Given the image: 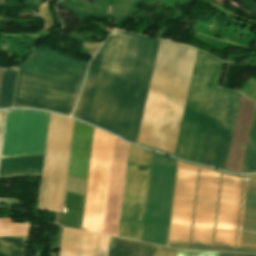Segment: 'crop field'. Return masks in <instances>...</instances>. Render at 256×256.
I'll return each mask as SVG.
<instances>
[{
  "mask_svg": "<svg viewBox=\"0 0 256 256\" xmlns=\"http://www.w3.org/2000/svg\"><path fill=\"white\" fill-rule=\"evenodd\" d=\"M153 152L130 144L118 236L141 241Z\"/></svg>",
  "mask_w": 256,
  "mask_h": 256,
  "instance_id": "6",
  "label": "crop field"
},
{
  "mask_svg": "<svg viewBox=\"0 0 256 256\" xmlns=\"http://www.w3.org/2000/svg\"><path fill=\"white\" fill-rule=\"evenodd\" d=\"M26 236L0 237V256H22Z\"/></svg>",
  "mask_w": 256,
  "mask_h": 256,
  "instance_id": "16",
  "label": "crop field"
},
{
  "mask_svg": "<svg viewBox=\"0 0 256 256\" xmlns=\"http://www.w3.org/2000/svg\"><path fill=\"white\" fill-rule=\"evenodd\" d=\"M16 74V70L3 69L0 89V108L11 107Z\"/></svg>",
  "mask_w": 256,
  "mask_h": 256,
  "instance_id": "15",
  "label": "crop field"
},
{
  "mask_svg": "<svg viewBox=\"0 0 256 256\" xmlns=\"http://www.w3.org/2000/svg\"><path fill=\"white\" fill-rule=\"evenodd\" d=\"M102 43L82 42V48L87 49L90 55H94Z\"/></svg>",
  "mask_w": 256,
  "mask_h": 256,
  "instance_id": "22",
  "label": "crop field"
},
{
  "mask_svg": "<svg viewBox=\"0 0 256 256\" xmlns=\"http://www.w3.org/2000/svg\"><path fill=\"white\" fill-rule=\"evenodd\" d=\"M114 137L95 128L82 226L102 233Z\"/></svg>",
  "mask_w": 256,
  "mask_h": 256,
  "instance_id": "7",
  "label": "crop field"
},
{
  "mask_svg": "<svg viewBox=\"0 0 256 256\" xmlns=\"http://www.w3.org/2000/svg\"><path fill=\"white\" fill-rule=\"evenodd\" d=\"M29 225L12 224L10 218H0V236L26 235Z\"/></svg>",
  "mask_w": 256,
  "mask_h": 256,
  "instance_id": "17",
  "label": "crop field"
},
{
  "mask_svg": "<svg viewBox=\"0 0 256 256\" xmlns=\"http://www.w3.org/2000/svg\"><path fill=\"white\" fill-rule=\"evenodd\" d=\"M196 52L160 39L137 144L173 155Z\"/></svg>",
  "mask_w": 256,
  "mask_h": 256,
  "instance_id": "3",
  "label": "crop field"
},
{
  "mask_svg": "<svg viewBox=\"0 0 256 256\" xmlns=\"http://www.w3.org/2000/svg\"><path fill=\"white\" fill-rule=\"evenodd\" d=\"M239 92L256 101V79L252 77Z\"/></svg>",
  "mask_w": 256,
  "mask_h": 256,
  "instance_id": "20",
  "label": "crop field"
},
{
  "mask_svg": "<svg viewBox=\"0 0 256 256\" xmlns=\"http://www.w3.org/2000/svg\"><path fill=\"white\" fill-rule=\"evenodd\" d=\"M180 163H178L177 165L176 160L173 187L176 173V165L177 173L174 187V195L172 187L173 202L171 195L172 209L170 202L171 217L169 210L170 224L168 218L169 231L167 226L168 239L167 234L166 239L167 242L189 244L199 171V168L197 167L213 171L217 170L184 163L197 166L193 167ZM205 169H201V172L199 171L200 180L198 179L199 188L198 195L196 194L197 203L195 202L196 210L191 244L213 245L222 174ZM221 173H223V178L224 174L240 177L225 172ZM228 175H225L224 185L222 178L223 192L221 186L222 199L220 194L221 206L219 202L220 214L218 210L219 221L217 218L218 228L216 226L217 235L215 234V245L237 246L245 184H242L239 178ZM240 178L243 183H246L247 187L248 182H244L242 177ZM249 184L250 188L248 185L247 194L245 187L246 201L244 195L245 208L243 203L244 215L242 211L243 222L241 219V236L239 235V246L241 247L249 188L242 248L226 246L184 245L166 242L165 245L182 249L256 252V184Z\"/></svg>",
  "mask_w": 256,
  "mask_h": 256,
  "instance_id": "1",
  "label": "crop field"
},
{
  "mask_svg": "<svg viewBox=\"0 0 256 256\" xmlns=\"http://www.w3.org/2000/svg\"><path fill=\"white\" fill-rule=\"evenodd\" d=\"M218 252H200V251H180L178 256H217ZM218 256H256V254L248 253H228V252H219Z\"/></svg>",
  "mask_w": 256,
  "mask_h": 256,
  "instance_id": "19",
  "label": "crop field"
},
{
  "mask_svg": "<svg viewBox=\"0 0 256 256\" xmlns=\"http://www.w3.org/2000/svg\"><path fill=\"white\" fill-rule=\"evenodd\" d=\"M87 64L54 50L34 49L20 66L13 107L70 116Z\"/></svg>",
  "mask_w": 256,
  "mask_h": 256,
  "instance_id": "4",
  "label": "crop field"
},
{
  "mask_svg": "<svg viewBox=\"0 0 256 256\" xmlns=\"http://www.w3.org/2000/svg\"><path fill=\"white\" fill-rule=\"evenodd\" d=\"M256 171V110L240 172Z\"/></svg>",
  "mask_w": 256,
  "mask_h": 256,
  "instance_id": "14",
  "label": "crop field"
},
{
  "mask_svg": "<svg viewBox=\"0 0 256 256\" xmlns=\"http://www.w3.org/2000/svg\"><path fill=\"white\" fill-rule=\"evenodd\" d=\"M177 251L176 249L155 245L154 256H177Z\"/></svg>",
  "mask_w": 256,
  "mask_h": 256,
  "instance_id": "21",
  "label": "crop field"
},
{
  "mask_svg": "<svg viewBox=\"0 0 256 256\" xmlns=\"http://www.w3.org/2000/svg\"><path fill=\"white\" fill-rule=\"evenodd\" d=\"M240 97L218 87L201 162L223 169Z\"/></svg>",
  "mask_w": 256,
  "mask_h": 256,
  "instance_id": "10",
  "label": "crop field"
},
{
  "mask_svg": "<svg viewBox=\"0 0 256 256\" xmlns=\"http://www.w3.org/2000/svg\"><path fill=\"white\" fill-rule=\"evenodd\" d=\"M158 41L110 35L88 68L73 116L135 143Z\"/></svg>",
  "mask_w": 256,
  "mask_h": 256,
  "instance_id": "2",
  "label": "crop field"
},
{
  "mask_svg": "<svg viewBox=\"0 0 256 256\" xmlns=\"http://www.w3.org/2000/svg\"><path fill=\"white\" fill-rule=\"evenodd\" d=\"M44 155L1 160L0 178L41 175Z\"/></svg>",
  "mask_w": 256,
  "mask_h": 256,
  "instance_id": "12",
  "label": "crop field"
},
{
  "mask_svg": "<svg viewBox=\"0 0 256 256\" xmlns=\"http://www.w3.org/2000/svg\"><path fill=\"white\" fill-rule=\"evenodd\" d=\"M110 237L63 228L60 256H107Z\"/></svg>",
  "mask_w": 256,
  "mask_h": 256,
  "instance_id": "11",
  "label": "crop field"
},
{
  "mask_svg": "<svg viewBox=\"0 0 256 256\" xmlns=\"http://www.w3.org/2000/svg\"><path fill=\"white\" fill-rule=\"evenodd\" d=\"M48 113L8 110L1 158L44 154Z\"/></svg>",
  "mask_w": 256,
  "mask_h": 256,
  "instance_id": "9",
  "label": "crop field"
},
{
  "mask_svg": "<svg viewBox=\"0 0 256 256\" xmlns=\"http://www.w3.org/2000/svg\"><path fill=\"white\" fill-rule=\"evenodd\" d=\"M154 245L111 237L108 256H153Z\"/></svg>",
  "mask_w": 256,
  "mask_h": 256,
  "instance_id": "13",
  "label": "crop field"
},
{
  "mask_svg": "<svg viewBox=\"0 0 256 256\" xmlns=\"http://www.w3.org/2000/svg\"><path fill=\"white\" fill-rule=\"evenodd\" d=\"M49 1L50 0L45 1L38 11V16L43 20L42 31H47L54 26V19L50 12Z\"/></svg>",
  "mask_w": 256,
  "mask_h": 256,
  "instance_id": "18",
  "label": "crop field"
},
{
  "mask_svg": "<svg viewBox=\"0 0 256 256\" xmlns=\"http://www.w3.org/2000/svg\"><path fill=\"white\" fill-rule=\"evenodd\" d=\"M175 160L154 152L142 241L164 245Z\"/></svg>",
  "mask_w": 256,
  "mask_h": 256,
  "instance_id": "8",
  "label": "crop field"
},
{
  "mask_svg": "<svg viewBox=\"0 0 256 256\" xmlns=\"http://www.w3.org/2000/svg\"><path fill=\"white\" fill-rule=\"evenodd\" d=\"M222 65L198 50L175 156L200 162Z\"/></svg>",
  "mask_w": 256,
  "mask_h": 256,
  "instance_id": "5",
  "label": "crop field"
}]
</instances>
